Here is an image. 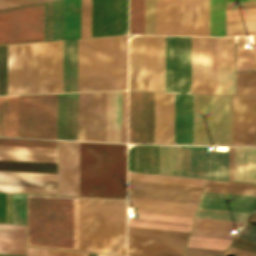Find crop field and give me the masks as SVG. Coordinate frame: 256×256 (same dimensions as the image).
I'll use <instances>...</instances> for the list:
<instances>
[{
	"mask_svg": "<svg viewBox=\"0 0 256 256\" xmlns=\"http://www.w3.org/2000/svg\"><path fill=\"white\" fill-rule=\"evenodd\" d=\"M188 233L128 226V255L182 256Z\"/></svg>",
	"mask_w": 256,
	"mask_h": 256,
	"instance_id": "d8731c3e",
	"label": "crop field"
},
{
	"mask_svg": "<svg viewBox=\"0 0 256 256\" xmlns=\"http://www.w3.org/2000/svg\"><path fill=\"white\" fill-rule=\"evenodd\" d=\"M44 3L0 10V44L43 40Z\"/></svg>",
	"mask_w": 256,
	"mask_h": 256,
	"instance_id": "3316defc",
	"label": "crop field"
},
{
	"mask_svg": "<svg viewBox=\"0 0 256 256\" xmlns=\"http://www.w3.org/2000/svg\"><path fill=\"white\" fill-rule=\"evenodd\" d=\"M7 1H10V2H13V3H16V4H19V5L32 4V3H34V2H31V1H28V0H7Z\"/></svg>",
	"mask_w": 256,
	"mask_h": 256,
	"instance_id": "d14b1444",
	"label": "crop field"
},
{
	"mask_svg": "<svg viewBox=\"0 0 256 256\" xmlns=\"http://www.w3.org/2000/svg\"><path fill=\"white\" fill-rule=\"evenodd\" d=\"M0 191L56 194V188L0 186Z\"/></svg>",
	"mask_w": 256,
	"mask_h": 256,
	"instance_id": "dbb93151",
	"label": "crop field"
},
{
	"mask_svg": "<svg viewBox=\"0 0 256 256\" xmlns=\"http://www.w3.org/2000/svg\"><path fill=\"white\" fill-rule=\"evenodd\" d=\"M0 5L4 6V7L17 6L16 4H13V3H10V2H7V1H3V0H0Z\"/></svg>",
	"mask_w": 256,
	"mask_h": 256,
	"instance_id": "ade564c9",
	"label": "crop field"
},
{
	"mask_svg": "<svg viewBox=\"0 0 256 256\" xmlns=\"http://www.w3.org/2000/svg\"><path fill=\"white\" fill-rule=\"evenodd\" d=\"M229 180H230V167H229ZM231 181H233V147H231Z\"/></svg>",
	"mask_w": 256,
	"mask_h": 256,
	"instance_id": "c39391a2",
	"label": "crop field"
},
{
	"mask_svg": "<svg viewBox=\"0 0 256 256\" xmlns=\"http://www.w3.org/2000/svg\"><path fill=\"white\" fill-rule=\"evenodd\" d=\"M253 4H256V1L232 2V3H227V7L253 5Z\"/></svg>",
	"mask_w": 256,
	"mask_h": 256,
	"instance_id": "e1d0b9f6",
	"label": "crop field"
},
{
	"mask_svg": "<svg viewBox=\"0 0 256 256\" xmlns=\"http://www.w3.org/2000/svg\"><path fill=\"white\" fill-rule=\"evenodd\" d=\"M62 92V41L8 45V94Z\"/></svg>",
	"mask_w": 256,
	"mask_h": 256,
	"instance_id": "8a807250",
	"label": "crop field"
},
{
	"mask_svg": "<svg viewBox=\"0 0 256 256\" xmlns=\"http://www.w3.org/2000/svg\"><path fill=\"white\" fill-rule=\"evenodd\" d=\"M0 235L25 237V226L0 224Z\"/></svg>",
	"mask_w": 256,
	"mask_h": 256,
	"instance_id": "447ae74e",
	"label": "crop field"
},
{
	"mask_svg": "<svg viewBox=\"0 0 256 256\" xmlns=\"http://www.w3.org/2000/svg\"><path fill=\"white\" fill-rule=\"evenodd\" d=\"M228 251L236 252V253L243 254V255H246V256H256V254L249 253V252L242 251V250L235 249V248H231V247H229Z\"/></svg>",
	"mask_w": 256,
	"mask_h": 256,
	"instance_id": "ae633e8c",
	"label": "crop field"
},
{
	"mask_svg": "<svg viewBox=\"0 0 256 256\" xmlns=\"http://www.w3.org/2000/svg\"><path fill=\"white\" fill-rule=\"evenodd\" d=\"M250 215L198 209L196 217L246 222Z\"/></svg>",
	"mask_w": 256,
	"mask_h": 256,
	"instance_id": "b54c1fbb",
	"label": "crop field"
},
{
	"mask_svg": "<svg viewBox=\"0 0 256 256\" xmlns=\"http://www.w3.org/2000/svg\"><path fill=\"white\" fill-rule=\"evenodd\" d=\"M198 208L252 214L256 196L203 191Z\"/></svg>",
	"mask_w": 256,
	"mask_h": 256,
	"instance_id": "bc2a9ffb",
	"label": "crop field"
},
{
	"mask_svg": "<svg viewBox=\"0 0 256 256\" xmlns=\"http://www.w3.org/2000/svg\"><path fill=\"white\" fill-rule=\"evenodd\" d=\"M191 37L166 36L165 91L190 93Z\"/></svg>",
	"mask_w": 256,
	"mask_h": 256,
	"instance_id": "d1516ede",
	"label": "crop field"
},
{
	"mask_svg": "<svg viewBox=\"0 0 256 256\" xmlns=\"http://www.w3.org/2000/svg\"><path fill=\"white\" fill-rule=\"evenodd\" d=\"M144 36L129 44V89L143 90Z\"/></svg>",
	"mask_w": 256,
	"mask_h": 256,
	"instance_id": "eef30255",
	"label": "crop field"
},
{
	"mask_svg": "<svg viewBox=\"0 0 256 256\" xmlns=\"http://www.w3.org/2000/svg\"><path fill=\"white\" fill-rule=\"evenodd\" d=\"M165 36H158L157 91H164Z\"/></svg>",
	"mask_w": 256,
	"mask_h": 256,
	"instance_id": "425ffa30",
	"label": "crop field"
},
{
	"mask_svg": "<svg viewBox=\"0 0 256 256\" xmlns=\"http://www.w3.org/2000/svg\"><path fill=\"white\" fill-rule=\"evenodd\" d=\"M203 190L256 195V185L245 183L206 180Z\"/></svg>",
	"mask_w": 256,
	"mask_h": 256,
	"instance_id": "d32e631a",
	"label": "crop field"
},
{
	"mask_svg": "<svg viewBox=\"0 0 256 256\" xmlns=\"http://www.w3.org/2000/svg\"><path fill=\"white\" fill-rule=\"evenodd\" d=\"M236 49V71L256 70V36H253L255 50H246L244 36L238 37Z\"/></svg>",
	"mask_w": 256,
	"mask_h": 256,
	"instance_id": "028f5c9d",
	"label": "crop field"
},
{
	"mask_svg": "<svg viewBox=\"0 0 256 256\" xmlns=\"http://www.w3.org/2000/svg\"><path fill=\"white\" fill-rule=\"evenodd\" d=\"M81 0H64V39L80 37Z\"/></svg>",
	"mask_w": 256,
	"mask_h": 256,
	"instance_id": "1d83c4d3",
	"label": "crop field"
},
{
	"mask_svg": "<svg viewBox=\"0 0 256 256\" xmlns=\"http://www.w3.org/2000/svg\"><path fill=\"white\" fill-rule=\"evenodd\" d=\"M154 143H155V121H154Z\"/></svg>",
	"mask_w": 256,
	"mask_h": 256,
	"instance_id": "fb207236",
	"label": "crop field"
},
{
	"mask_svg": "<svg viewBox=\"0 0 256 256\" xmlns=\"http://www.w3.org/2000/svg\"><path fill=\"white\" fill-rule=\"evenodd\" d=\"M179 146L159 145V173L178 175Z\"/></svg>",
	"mask_w": 256,
	"mask_h": 256,
	"instance_id": "120bbe31",
	"label": "crop field"
},
{
	"mask_svg": "<svg viewBox=\"0 0 256 256\" xmlns=\"http://www.w3.org/2000/svg\"><path fill=\"white\" fill-rule=\"evenodd\" d=\"M256 34V19L226 21V36Z\"/></svg>",
	"mask_w": 256,
	"mask_h": 256,
	"instance_id": "b80d0937",
	"label": "crop field"
},
{
	"mask_svg": "<svg viewBox=\"0 0 256 256\" xmlns=\"http://www.w3.org/2000/svg\"><path fill=\"white\" fill-rule=\"evenodd\" d=\"M128 205L139 212L194 217L197 205L132 199ZM139 213V220L128 219V225L189 231L193 218Z\"/></svg>",
	"mask_w": 256,
	"mask_h": 256,
	"instance_id": "5a996713",
	"label": "crop field"
},
{
	"mask_svg": "<svg viewBox=\"0 0 256 256\" xmlns=\"http://www.w3.org/2000/svg\"><path fill=\"white\" fill-rule=\"evenodd\" d=\"M229 147L209 151V147L180 146L179 175L228 180Z\"/></svg>",
	"mask_w": 256,
	"mask_h": 256,
	"instance_id": "28ad6ade",
	"label": "crop field"
},
{
	"mask_svg": "<svg viewBox=\"0 0 256 256\" xmlns=\"http://www.w3.org/2000/svg\"><path fill=\"white\" fill-rule=\"evenodd\" d=\"M0 170L56 173V163L0 161Z\"/></svg>",
	"mask_w": 256,
	"mask_h": 256,
	"instance_id": "5866460e",
	"label": "crop field"
},
{
	"mask_svg": "<svg viewBox=\"0 0 256 256\" xmlns=\"http://www.w3.org/2000/svg\"><path fill=\"white\" fill-rule=\"evenodd\" d=\"M58 194L79 196V142L59 141Z\"/></svg>",
	"mask_w": 256,
	"mask_h": 256,
	"instance_id": "4a817a6b",
	"label": "crop field"
},
{
	"mask_svg": "<svg viewBox=\"0 0 256 256\" xmlns=\"http://www.w3.org/2000/svg\"><path fill=\"white\" fill-rule=\"evenodd\" d=\"M246 7H256V5H253V6H243V7H232V8H227V9H233V8H246Z\"/></svg>",
	"mask_w": 256,
	"mask_h": 256,
	"instance_id": "c3a83c6f",
	"label": "crop field"
},
{
	"mask_svg": "<svg viewBox=\"0 0 256 256\" xmlns=\"http://www.w3.org/2000/svg\"><path fill=\"white\" fill-rule=\"evenodd\" d=\"M224 251L187 247L184 256H221Z\"/></svg>",
	"mask_w": 256,
	"mask_h": 256,
	"instance_id": "0765c3eb",
	"label": "crop field"
},
{
	"mask_svg": "<svg viewBox=\"0 0 256 256\" xmlns=\"http://www.w3.org/2000/svg\"><path fill=\"white\" fill-rule=\"evenodd\" d=\"M232 1H244V0H227V2H232Z\"/></svg>",
	"mask_w": 256,
	"mask_h": 256,
	"instance_id": "7312dd0a",
	"label": "crop field"
},
{
	"mask_svg": "<svg viewBox=\"0 0 256 256\" xmlns=\"http://www.w3.org/2000/svg\"><path fill=\"white\" fill-rule=\"evenodd\" d=\"M256 18V8L227 10L226 20Z\"/></svg>",
	"mask_w": 256,
	"mask_h": 256,
	"instance_id": "9d1cf04e",
	"label": "crop field"
},
{
	"mask_svg": "<svg viewBox=\"0 0 256 256\" xmlns=\"http://www.w3.org/2000/svg\"><path fill=\"white\" fill-rule=\"evenodd\" d=\"M232 97L194 95V144L231 145Z\"/></svg>",
	"mask_w": 256,
	"mask_h": 256,
	"instance_id": "dd49c442",
	"label": "crop field"
},
{
	"mask_svg": "<svg viewBox=\"0 0 256 256\" xmlns=\"http://www.w3.org/2000/svg\"><path fill=\"white\" fill-rule=\"evenodd\" d=\"M80 196L126 198V144L80 142Z\"/></svg>",
	"mask_w": 256,
	"mask_h": 256,
	"instance_id": "ac0d7876",
	"label": "crop field"
},
{
	"mask_svg": "<svg viewBox=\"0 0 256 256\" xmlns=\"http://www.w3.org/2000/svg\"><path fill=\"white\" fill-rule=\"evenodd\" d=\"M0 256H25V255H17V254H1Z\"/></svg>",
	"mask_w": 256,
	"mask_h": 256,
	"instance_id": "c5b07064",
	"label": "crop field"
},
{
	"mask_svg": "<svg viewBox=\"0 0 256 256\" xmlns=\"http://www.w3.org/2000/svg\"><path fill=\"white\" fill-rule=\"evenodd\" d=\"M106 92L79 93L78 140L105 141Z\"/></svg>",
	"mask_w": 256,
	"mask_h": 256,
	"instance_id": "cbeb9de0",
	"label": "crop field"
},
{
	"mask_svg": "<svg viewBox=\"0 0 256 256\" xmlns=\"http://www.w3.org/2000/svg\"><path fill=\"white\" fill-rule=\"evenodd\" d=\"M234 181L256 183V148L234 147Z\"/></svg>",
	"mask_w": 256,
	"mask_h": 256,
	"instance_id": "4177f3b9",
	"label": "crop field"
},
{
	"mask_svg": "<svg viewBox=\"0 0 256 256\" xmlns=\"http://www.w3.org/2000/svg\"><path fill=\"white\" fill-rule=\"evenodd\" d=\"M239 224L244 225L240 222L196 218L190 235L233 239L236 234L232 232Z\"/></svg>",
	"mask_w": 256,
	"mask_h": 256,
	"instance_id": "730fd06b",
	"label": "crop field"
},
{
	"mask_svg": "<svg viewBox=\"0 0 256 256\" xmlns=\"http://www.w3.org/2000/svg\"><path fill=\"white\" fill-rule=\"evenodd\" d=\"M19 137L56 139V94L20 96Z\"/></svg>",
	"mask_w": 256,
	"mask_h": 256,
	"instance_id": "e52e79f7",
	"label": "crop field"
},
{
	"mask_svg": "<svg viewBox=\"0 0 256 256\" xmlns=\"http://www.w3.org/2000/svg\"><path fill=\"white\" fill-rule=\"evenodd\" d=\"M0 160H22V161L56 162V157L0 154Z\"/></svg>",
	"mask_w": 256,
	"mask_h": 256,
	"instance_id": "1d79db26",
	"label": "crop field"
},
{
	"mask_svg": "<svg viewBox=\"0 0 256 256\" xmlns=\"http://www.w3.org/2000/svg\"><path fill=\"white\" fill-rule=\"evenodd\" d=\"M27 256H52V249L27 247Z\"/></svg>",
	"mask_w": 256,
	"mask_h": 256,
	"instance_id": "78b8030e",
	"label": "crop field"
},
{
	"mask_svg": "<svg viewBox=\"0 0 256 256\" xmlns=\"http://www.w3.org/2000/svg\"><path fill=\"white\" fill-rule=\"evenodd\" d=\"M127 83V35L121 36L120 89Z\"/></svg>",
	"mask_w": 256,
	"mask_h": 256,
	"instance_id": "1f2cbd36",
	"label": "crop field"
},
{
	"mask_svg": "<svg viewBox=\"0 0 256 256\" xmlns=\"http://www.w3.org/2000/svg\"><path fill=\"white\" fill-rule=\"evenodd\" d=\"M91 36V0H82L81 37Z\"/></svg>",
	"mask_w": 256,
	"mask_h": 256,
	"instance_id": "25e5ab78",
	"label": "crop field"
},
{
	"mask_svg": "<svg viewBox=\"0 0 256 256\" xmlns=\"http://www.w3.org/2000/svg\"><path fill=\"white\" fill-rule=\"evenodd\" d=\"M0 185H22V186L56 187V182L0 179Z\"/></svg>",
	"mask_w": 256,
	"mask_h": 256,
	"instance_id": "0fb4a251",
	"label": "crop field"
},
{
	"mask_svg": "<svg viewBox=\"0 0 256 256\" xmlns=\"http://www.w3.org/2000/svg\"><path fill=\"white\" fill-rule=\"evenodd\" d=\"M0 145L56 148V141L0 138Z\"/></svg>",
	"mask_w": 256,
	"mask_h": 256,
	"instance_id": "d23c7cc5",
	"label": "crop field"
},
{
	"mask_svg": "<svg viewBox=\"0 0 256 256\" xmlns=\"http://www.w3.org/2000/svg\"><path fill=\"white\" fill-rule=\"evenodd\" d=\"M217 37H192L191 93L216 94Z\"/></svg>",
	"mask_w": 256,
	"mask_h": 256,
	"instance_id": "22f410ed",
	"label": "crop field"
},
{
	"mask_svg": "<svg viewBox=\"0 0 256 256\" xmlns=\"http://www.w3.org/2000/svg\"><path fill=\"white\" fill-rule=\"evenodd\" d=\"M0 252L25 254V238L0 236Z\"/></svg>",
	"mask_w": 256,
	"mask_h": 256,
	"instance_id": "03da06ac",
	"label": "crop field"
},
{
	"mask_svg": "<svg viewBox=\"0 0 256 256\" xmlns=\"http://www.w3.org/2000/svg\"><path fill=\"white\" fill-rule=\"evenodd\" d=\"M217 94L234 95V39L218 37Z\"/></svg>",
	"mask_w": 256,
	"mask_h": 256,
	"instance_id": "92a150f3",
	"label": "crop field"
},
{
	"mask_svg": "<svg viewBox=\"0 0 256 256\" xmlns=\"http://www.w3.org/2000/svg\"><path fill=\"white\" fill-rule=\"evenodd\" d=\"M78 93L57 94V139L77 140Z\"/></svg>",
	"mask_w": 256,
	"mask_h": 256,
	"instance_id": "214f88e0",
	"label": "crop field"
},
{
	"mask_svg": "<svg viewBox=\"0 0 256 256\" xmlns=\"http://www.w3.org/2000/svg\"><path fill=\"white\" fill-rule=\"evenodd\" d=\"M225 0H210V35L224 36Z\"/></svg>",
	"mask_w": 256,
	"mask_h": 256,
	"instance_id": "0bd39190",
	"label": "crop field"
},
{
	"mask_svg": "<svg viewBox=\"0 0 256 256\" xmlns=\"http://www.w3.org/2000/svg\"><path fill=\"white\" fill-rule=\"evenodd\" d=\"M0 178L56 181V174L0 171Z\"/></svg>",
	"mask_w": 256,
	"mask_h": 256,
	"instance_id": "5d738f31",
	"label": "crop field"
},
{
	"mask_svg": "<svg viewBox=\"0 0 256 256\" xmlns=\"http://www.w3.org/2000/svg\"><path fill=\"white\" fill-rule=\"evenodd\" d=\"M256 146V96L233 97L232 145Z\"/></svg>",
	"mask_w": 256,
	"mask_h": 256,
	"instance_id": "733c2abd",
	"label": "crop field"
},
{
	"mask_svg": "<svg viewBox=\"0 0 256 256\" xmlns=\"http://www.w3.org/2000/svg\"><path fill=\"white\" fill-rule=\"evenodd\" d=\"M106 141L121 142V91L107 92Z\"/></svg>",
	"mask_w": 256,
	"mask_h": 256,
	"instance_id": "ae1a2a85",
	"label": "crop field"
},
{
	"mask_svg": "<svg viewBox=\"0 0 256 256\" xmlns=\"http://www.w3.org/2000/svg\"><path fill=\"white\" fill-rule=\"evenodd\" d=\"M174 93L156 92V143L173 144Z\"/></svg>",
	"mask_w": 256,
	"mask_h": 256,
	"instance_id": "00972430",
	"label": "crop field"
},
{
	"mask_svg": "<svg viewBox=\"0 0 256 256\" xmlns=\"http://www.w3.org/2000/svg\"><path fill=\"white\" fill-rule=\"evenodd\" d=\"M238 237L256 241V226L246 224L242 231L239 233Z\"/></svg>",
	"mask_w": 256,
	"mask_h": 256,
	"instance_id": "7b73153f",
	"label": "crop field"
},
{
	"mask_svg": "<svg viewBox=\"0 0 256 256\" xmlns=\"http://www.w3.org/2000/svg\"><path fill=\"white\" fill-rule=\"evenodd\" d=\"M155 8L156 0H146L145 34H155Z\"/></svg>",
	"mask_w": 256,
	"mask_h": 256,
	"instance_id": "89e229c0",
	"label": "crop field"
},
{
	"mask_svg": "<svg viewBox=\"0 0 256 256\" xmlns=\"http://www.w3.org/2000/svg\"><path fill=\"white\" fill-rule=\"evenodd\" d=\"M156 34L209 35V0H157Z\"/></svg>",
	"mask_w": 256,
	"mask_h": 256,
	"instance_id": "f4fd0767",
	"label": "crop field"
},
{
	"mask_svg": "<svg viewBox=\"0 0 256 256\" xmlns=\"http://www.w3.org/2000/svg\"><path fill=\"white\" fill-rule=\"evenodd\" d=\"M157 36H145L144 90L156 91Z\"/></svg>",
	"mask_w": 256,
	"mask_h": 256,
	"instance_id": "bd1437ed",
	"label": "crop field"
},
{
	"mask_svg": "<svg viewBox=\"0 0 256 256\" xmlns=\"http://www.w3.org/2000/svg\"><path fill=\"white\" fill-rule=\"evenodd\" d=\"M53 256H78V252L53 249Z\"/></svg>",
	"mask_w": 256,
	"mask_h": 256,
	"instance_id": "0f1d7ab4",
	"label": "crop field"
},
{
	"mask_svg": "<svg viewBox=\"0 0 256 256\" xmlns=\"http://www.w3.org/2000/svg\"><path fill=\"white\" fill-rule=\"evenodd\" d=\"M145 0H130L129 33L144 34Z\"/></svg>",
	"mask_w": 256,
	"mask_h": 256,
	"instance_id": "e1f06a70",
	"label": "crop field"
},
{
	"mask_svg": "<svg viewBox=\"0 0 256 256\" xmlns=\"http://www.w3.org/2000/svg\"><path fill=\"white\" fill-rule=\"evenodd\" d=\"M0 8H3V7L0 6Z\"/></svg>",
	"mask_w": 256,
	"mask_h": 256,
	"instance_id": "819c52e7",
	"label": "crop field"
},
{
	"mask_svg": "<svg viewBox=\"0 0 256 256\" xmlns=\"http://www.w3.org/2000/svg\"><path fill=\"white\" fill-rule=\"evenodd\" d=\"M128 170L158 173V145H137L130 148Z\"/></svg>",
	"mask_w": 256,
	"mask_h": 256,
	"instance_id": "a9b5d70f",
	"label": "crop field"
},
{
	"mask_svg": "<svg viewBox=\"0 0 256 256\" xmlns=\"http://www.w3.org/2000/svg\"><path fill=\"white\" fill-rule=\"evenodd\" d=\"M98 256H111V255H102V254H98Z\"/></svg>",
	"mask_w": 256,
	"mask_h": 256,
	"instance_id": "180be81f",
	"label": "crop field"
},
{
	"mask_svg": "<svg viewBox=\"0 0 256 256\" xmlns=\"http://www.w3.org/2000/svg\"><path fill=\"white\" fill-rule=\"evenodd\" d=\"M256 87V72L236 73V88ZM256 94V88L236 89V95Z\"/></svg>",
	"mask_w": 256,
	"mask_h": 256,
	"instance_id": "c035e120",
	"label": "crop field"
},
{
	"mask_svg": "<svg viewBox=\"0 0 256 256\" xmlns=\"http://www.w3.org/2000/svg\"><path fill=\"white\" fill-rule=\"evenodd\" d=\"M120 36L78 39V91L119 89Z\"/></svg>",
	"mask_w": 256,
	"mask_h": 256,
	"instance_id": "412701ff",
	"label": "crop field"
},
{
	"mask_svg": "<svg viewBox=\"0 0 256 256\" xmlns=\"http://www.w3.org/2000/svg\"><path fill=\"white\" fill-rule=\"evenodd\" d=\"M63 39V0L45 3L44 40Z\"/></svg>",
	"mask_w": 256,
	"mask_h": 256,
	"instance_id": "750c4746",
	"label": "crop field"
},
{
	"mask_svg": "<svg viewBox=\"0 0 256 256\" xmlns=\"http://www.w3.org/2000/svg\"><path fill=\"white\" fill-rule=\"evenodd\" d=\"M13 223L25 224V195L13 194Z\"/></svg>",
	"mask_w": 256,
	"mask_h": 256,
	"instance_id": "73cf0c24",
	"label": "crop field"
},
{
	"mask_svg": "<svg viewBox=\"0 0 256 256\" xmlns=\"http://www.w3.org/2000/svg\"><path fill=\"white\" fill-rule=\"evenodd\" d=\"M35 1L42 2V1H47V0H35Z\"/></svg>",
	"mask_w": 256,
	"mask_h": 256,
	"instance_id": "f0312440",
	"label": "crop field"
},
{
	"mask_svg": "<svg viewBox=\"0 0 256 256\" xmlns=\"http://www.w3.org/2000/svg\"><path fill=\"white\" fill-rule=\"evenodd\" d=\"M128 0H92V36L127 31Z\"/></svg>",
	"mask_w": 256,
	"mask_h": 256,
	"instance_id": "5142ce71",
	"label": "crop field"
},
{
	"mask_svg": "<svg viewBox=\"0 0 256 256\" xmlns=\"http://www.w3.org/2000/svg\"><path fill=\"white\" fill-rule=\"evenodd\" d=\"M253 218V217H252ZM254 218H256V215L254 216Z\"/></svg>",
	"mask_w": 256,
	"mask_h": 256,
	"instance_id": "1f1604b0",
	"label": "crop field"
},
{
	"mask_svg": "<svg viewBox=\"0 0 256 256\" xmlns=\"http://www.w3.org/2000/svg\"><path fill=\"white\" fill-rule=\"evenodd\" d=\"M77 91V39L63 41V92Z\"/></svg>",
	"mask_w": 256,
	"mask_h": 256,
	"instance_id": "d3111659",
	"label": "crop field"
},
{
	"mask_svg": "<svg viewBox=\"0 0 256 256\" xmlns=\"http://www.w3.org/2000/svg\"><path fill=\"white\" fill-rule=\"evenodd\" d=\"M127 91H122V142H126Z\"/></svg>",
	"mask_w": 256,
	"mask_h": 256,
	"instance_id": "db79e9e6",
	"label": "crop field"
},
{
	"mask_svg": "<svg viewBox=\"0 0 256 256\" xmlns=\"http://www.w3.org/2000/svg\"><path fill=\"white\" fill-rule=\"evenodd\" d=\"M174 144H193V95L175 93Z\"/></svg>",
	"mask_w": 256,
	"mask_h": 256,
	"instance_id": "dafd665d",
	"label": "crop field"
},
{
	"mask_svg": "<svg viewBox=\"0 0 256 256\" xmlns=\"http://www.w3.org/2000/svg\"><path fill=\"white\" fill-rule=\"evenodd\" d=\"M202 188L128 180V197L197 204Z\"/></svg>",
	"mask_w": 256,
	"mask_h": 256,
	"instance_id": "d9b57169",
	"label": "crop field"
},
{
	"mask_svg": "<svg viewBox=\"0 0 256 256\" xmlns=\"http://www.w3.org/2000/svg\"><path fill=\"white\" fill-rule=\"evenodd\" d=\"M230 242L227 239L190 236L187 246L226 250Z\"/></svg>",
	"mask_w": 256,
	"mask_h": 256,
	"instance_id": "c21b1889",
	"label": "crop field"
},
{
	"mask_svg": "<svg viewBox=\"0 0 256 256\" xmlns=\"http://www.w3.org/2000/svg\"><path fill=\"white\" fill-rule=\"evenodd\" d=\"M106 200L86 199V249L126 253V202H120L126 200ZM79 250L91 251L85 250V198H80Z\"/></svg>",
	"mask_w": 256,
	"mask_h": 256,
	"instance_id": "34b2d1b8",
	"label": "crop field"
}]
</instances>
